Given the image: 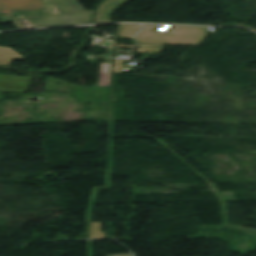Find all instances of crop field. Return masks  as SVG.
<instances>
[{"instance_id": "obj_5", "label": "crop field", "mask_w": 256, "mask_h": 256, "mask_svg": "<svg viewBox=\"0 0 256 256\" xmlns=\"http://www.w3.org/2000/svg\"><path fill=\"white\" fill-rule=\"evenodd\" d=\"M129 0H105L100 4L94 23L110 22L112 12Z\"/></svg>"}, {"instance_id": "obj_4", "label": "crop field", "mask_w": 256, "mask_h": 256, "mask_svg": "<svg viewBox=\"0 0 256 256\" xmlns=\"http://www.w3.org/2000/svg\"><path fill=\"white\" fill-rule=\"evenodd\" d=\"M32 78L0 75V91L25 93Z\"/></svg>"}, {"instance_id": "obj_2", "label": "crop field", "mask_w": 256, "mask_h": 256, "mask_svg": "<svg viewBox=\"0 0 256 256\" xmlns=\"http://www.w3.org/2000/svg\"><path fill=\"white\" fill-rule=\"evenodd\" d=\"M156 25H143L136 41L138 43L197 46L205 41L208 27L171 26L170 31H153Z\"/></svg>"}, {"instance_id": "obj_6", "label": "crop field", "mask_w": 256, "mask_h": 256, "mask_svg": "<svg viewBox=\"0 0 256 256\" xmlns=\"http://www.w3.org/2000/svg\"><path fill=\"white\" fill-rule=\"evenodd\" d=\"M140 25L119 24L117 35L134 39Z\"/></svg>"}, {"instance_id": "obj_1", "label": "crop field", "mask_w": 256, "mask_h": 256, "mask_svg": "<svg viewBox=\"0 0 256 256\" xmlns=\"http://www.w3.org/2000/svg\"><path fill=\"white\" fill-rule=\"evenodd\" d=\"M45 10L8 14L22 15L36 28L57 27L91 23L94 10L85 11L76 0H43ZM56 5L64 13L50 15Z\"/></svg>"}, {"instance_id": "obj_8", "label": "crop field", "mask_w": 256, "mask_h": 256, "mask_svg": "<svg viewBox=\"0 0 256 256\" xmlns=\"http://www.w3.org/2000/svg\"><path fill=\"white\" fill-rule=\"evenodd\" d=\"M13 22L14 25L18 28V29H24L23 25L21 24V22L19 21V19L17 18H11V17H1L0 16V23L1 24H6V23H11Z\"/></svg>"}, {"instance_id": "obj_9", "label": "crop field", "mask_w": 256, "mask_h": 256, "mask_svg": "<svg viewBox=\"0 0 256 256\" xmlns=\"http://www.w3.org/2000/svg\"><path fill=\"white\" fill-rule=\"evenodd\" d=\"M112 256H131V254H124V255H112Z\"/></svg>"}, {"instance_id": "obj_3", "label": "crop field", "mask_w": 256, "mask_h": 256, "mask_svg": "<svg viewBox=\"0 0 256 256\" xmlns=\"http://www.w3.org/2000/svg\"><path fill=\"white\" fill-rule=\"evenodd\" d=\"M44 9L42 0H0V14Z\"/></svg>"}, {"instance_id": "obj_7", "label": "crop field", "mask_w": 256, "mask_h": 256, "mask_svg": "<svg viewBox=\"0 0 256 256\" xmlns=\"http://www.w3.org/2000/svg\"><path fill=\"white\" fill-rule=\"evenodd\" d=\"M101 223H90V239L105 238V233L100 232Z\"/></svg>"}]
</instances>
